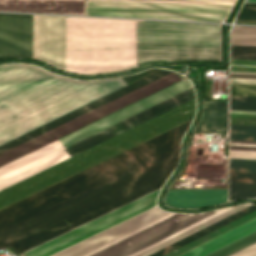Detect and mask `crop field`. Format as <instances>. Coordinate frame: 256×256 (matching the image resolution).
<instances>
[{
	"mask_svg": "<svg viewBox=\"0 0 256 256\" xmlns=\"http://www.w3.org/2000/svg\"><path fill=\"white\" fill-rule=\"evenodd\" d=\"M228 103L206 101L203 117L196 131H227Z\"/></svg>",
	"mask_w": 256,
	"mask_h": 256,
	"instance_id": "214f88e0",
	"label": "crop field"
},
{
	"mask_svg": "<svg viewBox=\"0 0 256 256\" xmlns=\"http://www.w3.org/2000/svg\"><path fill=\"white\" fill-rule=\"evenodd\" d=\"M256 216V210L163 256H175Z\"/></svg>",
	"mask_w": 256,
	"mask_h": 256,
	"instance_id": "dafd665d",
	"label": "crop field"
},
{
	"mask_svg": "<svg viewBox=\"0 0 256 256\" xmlns=\"http://www.w3.org/2000/svg\"><path fill=\"white\" fill-rule=\"evenodd\" d=\"M256 197V160L230 159V201Z\"/></svg>",
	"mask_w": 256,
	"mask_h": 256,
	"instance_id": "733c2abd",
	"label": "crop field"
},
{
	"mask_svg": "<svg viewBox=\"0 0 256 256\" xmlns=\"http://www.w3.org/2000/svg\"><path fill=\"white\" fill-rule=\"evenodd\" d=\"M245 2H256V0H245Z\"/></svg>",
	"mask_w": 256,
	"mask_h": 256,
	"instance_id": "5866460e",
	"label": "crop field"
},
{
	"mask_svg": "<svg viewBox=\"0 0 256 256\" xmlns=\"http://www.w3.org/2000/svg\"><path fill=\"white\" fill-rule=\"evenodd\" d=\"M126 86L77 81L27 64L0 66V145Z\"/></svg>",
	"mask_w": 256,
	"mask_h": 256,
	"instance_id": "ac0d7876",
	"label": "crop field"
},
{
	"mask_svg": "<svg viewBox=\"0 0 256 256\" xmlns=\"http://www.w3.org/2000/svg\"><path fill=\"white\" fill-rule=\"evenodd\" d=\"M104 1H141V2H178V3H215V4H233L220 3L221 1H235V0H221L220 2H190V1H160V0H104Z\"/></svg>",
	"mask_w": 256,
	"mask_h": 256,
	"instance_id": "d32e631a",
	"label": "crop field"
},
{
	"mask_svg": "<svg viewBox=\"0 0 256 256\" xmlns=\"http://www.w3.org/2000/svg\"><path fill=\"white\" fill-rule=\"evenodd\" d=\"M252 204L236 206L230 210L221 209L203 214H174L154 207L136 217L114 226L81 244H76L52 256H83L107 243H110L140 227H143L167 214V216L138 229L110 244H107L85 256H135L157 244H160L226 210V212L160 244L137 256H148L182 238H185L245 207Z\"/></svg>",
	"mask_w": 256,
	"mask_h": 256,
	"instance_id": "34b2d1b8",
	"label": "crop field"
},
{
	"mask_svg": "<svg viewBox=\"0 0 256 256\" xmlns=\"http://www.w3.org/2000/svg\"><path fill=\"white\" fill-rule=\"evenodd\" d=\"M180 145L32 215L0 231V248L11 247L17 254L100 214L162 187L174 170ZM158 189V188H157ZM156 190V189H155ZM156 190L66 234H63L28 252L29 256H48L103 229L140 213L154 205L159 193Z\"/></svg>",
	"mask_w": 256,
	"mask_h": 256,
	"instance_id": "8a807250",
	"label": "crop field"
},
{
	"mask_svg": "<svg viewBox=\"0 0 256 256\" xmlns=\"http://www.w3.org/2000/svg\"><path fill=\"white\" fill-rule=\"evenodd\" d=\"M71 157L56 141L0 167V190Z\"/></svg>",
	"mask_w": 256,
	"mask_h": 256,
	"instance_id": "d1516ede",
	"label": "crop field"
},
{
	"mask_svg": "<svg viewBox=\"0 0 256 256\" xmlns=\"http://www.w3.org/2000/svg\"><path fill=\"white\" fill-rule=\"evenodd\" d=\"M190 122L0 211V229L179 145Z\"/></svg>",
	"mask_w": 256,
	"mask_h": 256,
	"instance_id": "dd49c442",
	"label": "crop field"
},
{
	"mask_svg": "<svg viewBox=\"0 0 256 256\" xmlns=\"http://www.w3.org/2000/svg\"><path fill=\"white\" fill-rule=\"evenodd\" d=\"M0 11L84 15V1L0 0Z\"/></svg>",
	"mask_w": 256,
	"mask_h": 256,
	"instance_id": "d9b57169",
	"label": "crop field"
},
{
	"mask_svg": "<svg viewBox=\"0 0 256 256\" xmlns=\"http://www.w3.org/2000/svg\"><path fill=\"white\" fill-rule=\"evenodd\" d=\"M130 68V20L66 17V71L93 75Z\"/></svg>",
	"mask_w": 256,
	"mask_h": 256,
	"instance_id": "f4fd0767",
	"label": "crop field"
},
{
	"mask_svg": "<svg viewBox=\"0 0 256 256\" xmlns=\"http://www.w3.org/2000/svg\"><path fill=\"white\" fill-rule=\"evenodd\" d=\"M230 158L256 159V141L230 140Z\"/></svg>",
	"mask_w": 256,
	"mask_h": 256,
	"instance_id": "00972430",
	"label": "crop field"
},
{
	"mask_svg": "<svg viewBox=\"0 0 256 256\" xmlns=\"http://www.w3.org/2000/svg\"><path fill=\"white\" fill-rule=\"evenodd\" d=\"M170 72H172V71L161 69V70H159V71H157V72H155V73H153V74H151V75H149L145 78H142V79H140V80H138V81H136V82H134V83H132V84H130V85H128V86H126V87H124V88H122V89H120V90H118V91H116L112 94H110V95H107V96H105V97H103V98H101V99H99V100H97L93 103H90V104H88V105H86V106H84V107H82V108H80V109H78L74 112H71V113H69V114H67V115H65V116H63V117H61V118H59L55 121H52V122L38 128L36 130H33V131H31V132H29V133H27V134H25V135H23L19 138H16V139L0 146V153L4 152L6 150H9V149L27 141V140H30V139L48 131V130H51V129H53V128L65 123L69 120H72V119H74V118H76V117H78V116H80V115H82V114H84V113H86L90 110H93V109H95V108H97V107H99V106H101V105H103V104H105V103H107L111 100H114V99H116V98L130 92V91H133V90H135V89H137V88H139V87H141V86H143V85H145V84H147L151 81H154V80H156V79H158V78H160V77H162V76H164V75H166Z\"/></svg>",
	"mask_w": 256,
	"mask_h": 256,
	"instance_id": "5142ce71",
	"label": "crop field"
},
{
	"mask_svg": "<svg viewBox=\"0 0 256 256\" xmlns=\"http://www.w3.org/2000/svg\"><path fill=\"white\" fill-rule=\"evenodd\" d=\"M230 95L256 96V85L231 84Z\"/></svg>",
	"mask_w": 256,
	"mask_h": 256,
	"instance_id": "1d83c4d3",
	"label": "crop field"
},
{
	"mask_svg": "<svg viewBox=\"0 0 256 256\" xmlns=\"http://www.w3.org/2000/svg\"><path fill=\"white\" fill-rule=\"evenodd\" d=\"M236 20L256 21V3H244Z\"/></svg>",
	"mask_w": 256,
	"mask_h": 256,
	"instance_id": "bd1437ed",
	"label": "crop field"
},
{
	"mask_svg": "<svg viewBox=\"0 0 256 256\" xmlns=\"http://www.w3.org/2000/svg\"><path fill=\"white\" fill-rule=\"evenodd\" d=\"M255 241H256V231L207 256H227Z\"/></svg>",
	"mask_w": 256,
	"mask_h": 256,
	"instance_id": "4177f3b9",
	"label": "crop field"
},
{
	"mask_svg": "<svg viewBox=\"0 0 256 256\" xmlns=\"http://www.w3.org/2000/svg\"><path fill=\"white\" fill-rule=\"evenodd\" d=\"M255 209H256V205H252V206H250V207H248V208H246V209H244V210H242V211H240V212H238V213H236V214H234V215H232V216H230L212 226H209V227H207V228H205V229H203V230H201V231H199V232H197V233H195V234H193V235H191V236H189V237H187L169 247H166L150 256H161V255H163L175 248H178V247H180V246H182V245H184V244H186V243H188V242H190V241H192V240H194V239H196V238H198V237H200L218 227H221V226H223V225H225V224H227V223H229V222H231V221H233V220H235V219H237Z\"/></svg>",
	"mask_w": 256,
	"mask_h": 256,
	"instance_id": "92a150f3",
	"label": "crop field"
},
{
	"mask_svg": "<svg viewBox=\"0 0 256 256\" xmlns=\"http://www.w3.org/2000/svg\"><path fill=\"white\" fill-rule=\"evenodd\" d=\"M229 256H256V242Z\"/></svg>",
	"mask_w": 256,
	"mask_h": 256,
	"instance_id": "120bbe31",
	"label": "crop field"
},
{
	"mask_svg": "<svg viewBox=\"0 0 256 256\" xmlns=\"http://www.w3.org/2000/svg\"><path fill=\"white\" fill-rule=\"evenodd\" d=\"M192 84L183 80L167 89H164L146 99H143L127 108H124L108 117H105L89 126H86L68 136H65L57 142L63 147H67L87 136H90L114 123H117L139 111H142L166 98H169L189 87H191Z\"/></svg>",
	"mask_w": 256,
	"mask_h": 256,
	"instance_id": "cbeb9de0",
	"label": "crop field"
},
{
	"mask_svg": "<svg viewBox=\"0 0 256 256\" xmlns=\"http://www.w3.org/2000/svg\"><path fill=\"white\" fill-rule=\"evenodd\" d=\"M231 44L242 46H256V27H233L231 31Z\"/></svg>",
	"mask_w": 256,
	"mask_h": 256,
	"instance_id": "a9b5d70f",
	"label": "crop field"
},
{
	"mask_svg": "<svg viewBox=\"0 0 256 256\" xmlns=\"http://www.w3.org/2000/svg\"><path fill=\"white\" fill-rule=\"evenodd\" d=\"M33 58L65 71V17L33 15Z\"/></svg>",
	"mask_w": 256,
	"mask_h": 256,
	"instance_id": "3316defc",
	"label": "crop field"
},
{
	"mask_svg": "<svg viewBox=\"0 0 256 256\" xmlns=\"http://www.w3.org/2000/svg\"><path fill=\"white\" fill-rule=\"evenodd\" d=\"M256 230V219L229 231L189 252H186L180 256H205L253 231Z\"/></svg>",
	"mask_w": 256,
	"mask_h": 256,
	"instance_id": "bc2a9ffb",
	"label": "crop field"
},
{
	"mask_svg": "<svg viewBox=\"0 0 256 256\" xmlns=\"http://www.w3.org/2000/svg\"><path fill=\"white\" fill-rule=\"evenodd\" d=\"M231 59L256 61V47L232 46Z\"/></svg>",
	"mask_w": 256,
	"mask_h": 256,
	"instance_id": "d3111659",
	"label": "crop field"
},
{
	"mask_svg": "<svg viewBox=\"0 0 256 256\" xmlns=\"http://www.w3.org/2000/svg\"><path fill=\"white\" fill-rule=\"evenodd\" d=\"M226 195L227 190H170L166 202L177 207H202L226 202Z\"/></svg>",
	"mask_w": 256,
	"mask_h": 256,
	"instance_id": "4a817a6b",
	"label": "crop field"
},
{
	"mask_svg": "<svg viewBox=\"0 0 256 256\" xmlns=\"http://www.w3.org/2000/svg\"><path fill=\"white\" fill-rule=\"evenodd\" d=\"M231 6L215 4L85 1V15L222 22Z\"/></svg>",
	"mask_w": 256,
	"mask_h": 256,
	"instance_id": "d8731c3e",
	"label": "crop field"
},
{
	"mask_svg": "<svg viewBox=\"0 0 256 256\" xmlns=\"http://www.w3.org/2000/svg\"><path fill=\"white\" fill-rule=\"evenodd\" d=\"M182 61H222V25L131 20V68Z\"/></svg>",
	"mask_w": 256,
	"mask_h": 256,
	"instance_id": "412701ff",
	"label": "crop field"
},
{
	"mask_svg": "<svg viewBox=\"0 0 256 256\" xmlns=\"http://www.w3.org/2000/svg\"><path fill=\"white\" fill-rule=\"evenodd\" d=\"M195 114V99L0 192V207L175 125Z\"/></svg>",
	"mask_w": 256,
	"mask_h": 256,
	"instance_id": "e52e79f7",
	"label": "crop field"
},
{
	"mask_svg": "<svg viewBox=\"0 0 256 256\" xmlns=\"http://www.w3.org/2000/svg\"><path fill=\"white\" fill-rule=\"evenodd\" d=\"M230 124L256 125V111L230 110Z\"/></svg>",
	"mask_w": 256,
	"mask_h": 256,
	"instance_id": "eef30255",
	"label": "crop field"
},
{
	"mask_svg": "<svg viewBox=\"0 0 256 256\" xmlns=\"http://www.w3.org/2000/svg\"><path fill=\"white\" fill-rule=\"evenodd\" d=\"M230 83L256 84V72L230 71Z\"/></svg>",
	"mask_w": 256,
	"mask_h": 256,
	"instance_id": "750c4746",
	"label": "crop field"
},
{
	"mask_svg": "<svg viewBox=\"0 0 256 256\" xmlns=\"http://www.w3.org/2000/svg\"><path fill=\"white\" fill-rule=\"evenodd\" d=\"M230 109L256 110V97L230 96Z\"/></svg>",
	"mask_w": 256,
	"mask_h": 256,
	"instance_id": "ae1a2a85",
	"label": "crop field"
},
{
	"mask_svg": "<svg viewBox=\"0 0 256 256\" xmlns=\"http://www.w3.org/2000/svg\"><path fill=\"white\" fill-rule=\"evenodd\" d=\"M32 58V15L0 14V58Z\"/></svg>",
	"mask_w": 256,
	"mask_h": 256,
	"instance_id": "22f410ed",
	"label": "crop field"
},
{
	"mask_svg": "<svg viewBox=\"0 0 256 256\" xmlns=\"http://www.w3.org/2000/svg\"><path fill=\"white\" fill-rule=\"evenodd\" d=\"M195 98L193 87L166 99L142 112H139L117 124H114L90 137H87L67 148L72 156L91 148L107 139H110L124 131H127L141 123H144L158 115H161L177 106H180Z\"/></svg>",
	"mask_w": 256,
	"mask_h": 256,
	"instance_id": "28ad6ade",
	"label": "crop field"
},
{
	"mask_svg": "<svg viewBox=\"0 0 256 256\" xmlns=\"http://www.w3.org/2000/svg\"><path fill=\"white\" fill-rule=\"evenodd\" d=\"M230 139L256 140V126L230 125Z\"/></svg>",
	"mask_w": 256,
	"mask_h": 256,
	"instance_id": "730fd06b",
	"label": "crop field"
},
{
	"mask_svg": "<svg viewBox=\"0 0 256 256\" xmlns=\"http://www.w3.org/2000/svg\"><path fill=\"white\" fill-rule=\"evenodd\" d=\"M183 80L174 72L0 154V166Z\"/></svg>",
	"mask_w": 256,
	"mask_h": 256,
	"instance_id": "5a996713",
	"label": "crop field"
}]
</instances>
